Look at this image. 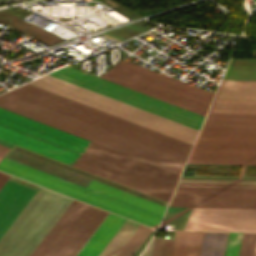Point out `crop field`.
Returning <instances> with one entry per match:
<instances>
[{
  "label": "crop field",
  "mask_w": 256,
  "mask_h": 256,
  "mask_svg": "<svg viewBox=\"0 0 256 256\" xmlns=\"http://www.w3.org/2000/svg\"><path fill=\"white\" fill-rule=\"evenodd\" d=\"M49 74L197 130L204 119V117L201 115L171 105L71 66H67ZM49 74L29 83L184 140L191 144L193 143L198 132L195 129L149 113Z\"/></svg>",
  "instance_id": "obj_3"
},
{
  "label": "crop field",
  "mask_w": 256,
  "mask_h": 256,
  "mask_svg": "<svg viewBox=\"0 0 256 256\" xmlns=\"http://www.w3.org/2000/svg\"><path fill=\"white\" fill-rule=\"evenodd\" d=\"M73 166L167 201L179 176L93 142Z\"/></svg>",
  "instance_id": "obj_6"
},
{
  "label": "crop field",
  "mask_w": 256,
  "mask_h": 256,
  "mask_svg": "<svg viewBox=\"0 0 256 256\" xmlns=\"http://www.w3.org/2000/svg\"><path fill=\"white\" fill-rule=\"evenodd\" d=\"M151 230L152 228L140 225L117 256H132Z\"/></svg>",
  "instance_id": "obj_15"
},
{
  "label": "crop field",
  "mask_w": 256,
  "mask_h": 256,
  "mask_svg": "<svg viewBox=\"0 0 256 256\" xmlns=\"http://www.w3.org/2000/svg\"><path fill=\"white\" fill-rule=\"evenodd\" d=\"M203 232L176 231L171 256H198Z\"/></svg>",
  "instance_id": "obj_12"
},
{
  "label": "crop field",
  "mask_w": 256,
  "mask_h": 256,
  "mask_svg": "<svg viewBox=\"0 0 256 256\" xmlns=\"http://www.w3.org/2000/svg\"><path fill=\"white\" fill-rule=\"evenodd\" d=\"M71 201L40 187L0 239V256H30ZM106 214L73 200L31 256H75ZM124 220L108 213L76 256H98Z\"/></svg>",
  "instance_id": "obj_2"
},
{
  "label": "crop field",
  "mask_w": 256,
  "mask_h": 256,
  "mask_svg": "<svg viewBox=\"0 0 256 256\" xmlns=\"http://www.w3.org/2000/svg\"><path fill=\"white\" fill-rule=\"evenodd\" d=\"M0 103L178 170L181 167L183 159L190 145L189 143L183 142L181 140L175 139L173 137L167 136L165 134L159 133L157 131L151 130L149 128L143 127L141 125L135 124L133 122L127 121L125 119L76 102L31 84H28L0 97ZM1 104L0 107L7 110L70 132L125 154L147 161L154 165L176 172L178 174L182 169L181 167L180 171L175 170L173 168L132 154L130 152L124 151L122 149L81 135L79 133L38 119ZM191 146L192 145H190L189 150Z\"/></svg>",
  "instance_id": "obj_1"
},
{
  "label": "crop field",
  "mask_w": 256,
  "mask_h": 256,
  "mask_svg": "<svg viewBox=\"0 0 256 256\" xmlns=\"http://www.w3.org/2000/svg\"><path fill=\"white\" fill-rule=\"evenodd\" d=\"M36 190L7 180L0 189V238Z\"/></svg>",
  "instance_id": "obj_11"
},
{
  "label": "crop field",
  "mask_w": 256,
  "mask_h": 256,
  "mask_svg": "<svg viewBox=\"0 0 256 256\" xmlns=\"http://www.w3.org/2000/svg\"><path fill=\"white\" fill-rule=\"evenodd\" d=\"M103 78L205 115L214 93L124 60Z\"/></svg>",
  "instance_id": "obj_8"
},
{
  "label": "crop field",
  "mask_w": 256,
  "mask_h": 256,
  "mask_svg": "<svg viewBox=\"0 0 256 256\" xmlns=\"http://www.w3.org/2000/svg\"><path fill=\"white\" fill-rule=\"evenodd\" d=\"M8 148H5L3 146H0V159L2 156L7 152Z\"/></svg>",
  "instance_id": "obj_21"
},
{
  "label": "crop field",
  "mask_w": 256,
  "mask_h": 256,
  "mask_svg": "<svg viewBox=\"0 0 256 256\" xmlns=\"http://www.w3.org/2000/svg\"><path fill=\"white\" fill-rule=\"evenodd\" d=\"M0 139L70 165L91 143L2 108Z\"/></svg>",
  "instance_id": "obj_7"
},
{
  "label": "crop field",
  "mask_w": 256,
  "mask_h": 256,
  "mask_svg": "<svg viewBox=\"0 0 256 256\" xmlns=\"http://www.w3.org/2000/svg\"><path fill=\"white\" fill-rule=\"evenodd\" d=\"M9 175H6L4 173L0 172V188L5 183V181L8 179Z\"/></svg>",
  "instance_id": "obj_19"
},
{
  "label": "crop field",
  "mask_w": 256,
  "mask_h": 256,
  "mask_svg": "<svg viewBox=\"0 0 256 256\" xmlns=\"http://www.w3.org/2000/svg\"><path fill=\"white\" fill-rule=\"evenodd\" d=\"M138 226L139 224L126 219L99 256H115Z\"/></svg>",
  "instance_id": "obj_13"
},
{
  "label": "crop field",
  "mask_w": 256,
  "mask_h": 256,
  "mask_svg": "<svg viewBox=\"0 0 256 256\" xmlns=\"http://www.w3.org/2000/svg\"><path fill=\"white\" fill-rule=\"evenodd\" d=\"M188 218L256 220V210L192 208ZM188 219L184 230L256 232V221Z\"/></svg>",
  "instance_id": "obj_10"
},
{
  "label": "crop field",
  "mask_w": 256,
  "mask_h": 256,
  "mask_svg": "<svg viewBox=\"0 0 256 256\" xmlns=\"http://www.w3.org/2000/svg\"><path fill=\"white\" fill-rule=\"evenodd\" d=\"M256 234L244 233L239 256H253Z\"/></svg>",
  "instance_id": "obj_18"
},
{
  "label": "crop field",
  "mask_w": 256,
  "mask_h": 256,
  "mask_svg": "<svg viewBox=\"0 0 256 256\" xmlns=\"http://www.w3.org/2000/svg\"><path fill=\"white\" fill-rule=\"evenodd\" d=\"M0 170L155 229L166 208L92 179L82 187L5 158Z\"/></svg>",
  "instance_id": "obj_5"
},
{
  "label": "crop field",
  "mask_w": 256,
  "mask_h": 256,
  "mask_svg": "<svg viewBox=\"0 0 256 256\" xmlns=\"http://www.w3.org/2000/svg\"><path fill=\"white\" fill-rule=\"evenodd\" d=\"M173 240L154 238L151 256H170Z\"/></svg>",
  "instance_id": "obj_16"
},
{
  "label": "crop field",
  "mask_w": 256,
  "mask_h": 256,
  "mask_svg": "<svg viewBox=\"0 0 256 256\" xmlns=\"http://www.w3.org/2000/svg\"><path fill=\"white\" fill-rule=\"evenodd\" d=\"M243 233H229L225 255L238 256Z\"/></svg>",
  "instance_id": "obj_17"
},
{
  "label": "crop field",
  "mask_w": 256,
  "mask_h": 256,
  "mask_svg": "<svg viewBox=\"0 0 256 256\" xmlns=\"http://www.w3.org/2000/svg\"><path fill=\"white\" fill-rule=\"evenodd\" d=\"M216 97L256 99V82L222 81ZM213 103L256 104V100L214 99ZM234 104L212 106L256 107ZM228 107H211L198 137L256 139V108ZM215 138H197L193 150L256 153V140ZM209 152H192L187 163L256 165V154Z\"/></svg>",
  "instance_id": "obj_4"
},
{
  "label": "crop field",
  "mask_w": 256,
  "mask_h": 256,
  "mask_svg": "<svg viewBox=\"0 0 256 256\" xmlns=\"http://www.w3.org/2000/svg\"><path fill=\"white\" fill-rule=\"evenodd\" d=\"M228 233L204 232L199 256H223Z\"/></svg>",
  "instance_id": "obj_14"
},
{
  "label": "crop field",
  "mask_w": 256,
  "mask_h": 256,
  "mask_svg": "<svg viewBox=\"0 0 256 256\" xmlns=\"http://www.w3.org/2000/svg\"><path fill=\"white\" fill-rule=\"evenodd\" d=\"M152 240H153V238H152ZM152 240H151L149 246L147 245L148 246L147 249L145 248L146 250L144 251V253L141 256H150Z\"/></svg>",
  "instance_id": "obj_20"
},
{
  "label": "crop field",
  "mask_w": 256,
  "mask_h": 256,
  "mask_svg": "<svg viewBox=\"0 0 256 256\" xmlns=\"http://www.w3.org/2000/svg\"><path fill=\"white\" fill-rule=\"evenodd\" d=\"M168 206L256 209V181L180 178Z\"/></svg>",
  "instance_id": "obj_9"
},
{
  "label": "crop field",
  "mask_w": 256,
  "mask_h": 256,
  "mask_svg": "<svg viewBox=\"0 0 256 256\" xmlns=\"http://www.w3.org/2000/svg\"><path fill=\"white\" fill-rule=\"evenodd\" d=\"M254 256H256V246H255Z\"/></svg>",
  "instance_id": "obj_22"
}]
</instances>
